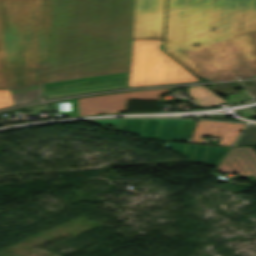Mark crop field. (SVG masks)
Instances as JSON below:
<instances>
[{
    "label": "crop field",
    "instance_id": "1",
    "mask_svg": "<svg viewBox=\"0 0 256 256\" xmlns=\"http://www.w3.org/2000/svg\"><path fill=\"white\" fill-rule=\"evenodd\" d=\"M135 0H0V89L130 69Z\"/></svg>",
    "mask_w": 256,
    "mask_h": 256
},
{
    "label": "crop field",
    "instance_id": "2",
    "mask_svg": "<svg viewBox=\"0 0 256 256\" xmlns=\"http://www.w3.org/2000/svg\"><path fill=\"white\" fill-rule=\"evenodd\" d=\"M255 31L256 0H168L164 49L200 78L255 74Z\"/></svg>",
    "mask_w": 256,
    "mask_h": 256
},
{
    "label": "crop field",
    "instance_id": "3",
    "mask_svg": "<svg viewBox=\"0 0 256 256\" xmlns=\"http://www.w3.org/2000/svg\"><path fill=\"white\" fill-rule=\"evenodd\" d=\"M162 42L133 40L130 87L198 81L162 53Z\"/></svg>",
    "mask_w": 256,
    "mask_h": 256
},
{
    "label": "crop field",
    "instance_id": "4",
    "mask_svg": "<svg viewBox=\"0 0 256 256\" xmlns=\"http://www.w3.org/2000/svg\"><path fill=\"white\" fill-rule=\"evenodd\" d=\"M95 124L121 125L120 131L134 133L145 138L188 141L193 120L176 119H114L91 120Z\"/></svg>",
    "mask_w": 256,
    "mask_h": 256
},
{
    "label": "crop field",
    "instance_id": "5",
    "mask_svg": "<svg viewBox=\"0 0 256 256\" xmlns=\"http://www.w3.org/2000/svg\"><path fill=\"white\" fill-rule=\"evenodd\" d=\"M168 90L158 89L77 99L78 116L124 112L127 99L158 100V95Z\"/></svg>",
    "mask_w": 256,
    "mask_h": 256
},
{
    "label": "crop field",
    "instance_id": "6",
    "mask_svg": "<svg viewBox=\"0 0 256 256\" xmlns=\"http://www.w3.org/2000/svg\"><path fill=\"white\" fill-rule=\"evenodd\" d=\"M165 0H136L133 39H163Z\"/></svg>",
    "mask_w": 256,
    "mask_h": 256
},
{
    "label": "crop field",
    "instance_id": "7",
    "mask_svg": "<svg viewBox=\"0 0 256 256\" xmlns=\"http://www.w3.org/2000/svg\"><path fill=\"white\" fill-rule=\"evenodd\" d=\"M246 124L224 123L216 121H198L190 142L201 143L202 136H222L220 145H233Z\"/></svg>",
    "mask_w": 256,
    "mask_h": 256
},
{
    "label": "crop field",
    "instance_id": "8",
    "mask_svg": "<svg viewBox=\"0 0 256 256\" xmlns=\"http://www.w3.org/2000/svg\"><path fill=\"white\" fill-rule=\"evenodd\" d=\"M217 170L223 173L253 175L256 178V151L253 147H233Z\"/></svg>",
    "mask_w": 256,
    "mask_h": 256
},
{
    "label": "crop field",
    "instance_id": "9",
    "mask_svg": "<svg viewBox=\"0 0 256 256\" xmlns=\"http://www.w3.org/2000/svg\"><path fill=\"white\" fill-rule=\"evenodd\" d=\"M166 147L184 154L186 157H194V162H201L203 164L217 166L221 157L226 154L229 148L214 147L194 144H174L167 142ZM183 155V156H184Z\"/></svg>",
    "mask_w": 256,
    "mask_h": 256
},
{
    "label": "crop field",
    "instance_id": "10",
    "mask_svg": "<svg viewBox=\"0 0 256 256\" xmlns=\"http://www.w3.org/2000/svg\"><path fill=\"white\" fill-rule=\"evenodd\" d=\"M188 91L189 96L194 98L195 102L202 106L225 103V100L205 86L188 87Z\"/></svg>",
    "mask_w": 256,
    "mask_h": 256
},
{
    "label": "crop field",
    "instance_id": "11",
    "mask_svg": "<svg viewBox=\"0 0 256 256\" xmlns=\"http://www.w3.org/2000/svg\"><path fill=\"white\" fill-rule=\"evenodd\" d=\"M256 144V126L249 125L236 145Z\"/></svg>",
    "mask_w": 256,
    "mask_h": 256
},
{
    "label": "crop field",
    "instance_id": "12",
    "mask_svg": "<svg viewBox=\"0 0 256 256\" xmlns=\"http://www.w3.org/2000/svg\"><path fill=\"white\" fill-rule=\"evenodd\" d=\"M237 77L250 78V77H256V75H244V74H240L237 70H233V71H231L230 73H228L226 75L204 78V79H207V80H226V79H234V78H237Z\"/></svg>",
    "mask_w": 256,
    "mask_h": 256
},
{
    "label": "crop field",
    "instance_id": "13",
    "mask_svg": "<svg viewBox=\"0 0 256 256\" xmlns=\"http://www.w3.org/2000/svg\"><path fill=\"white\" fill-rule=\"evenodd\" d=\"M226 97L228 98L226 101L229 103L252 99L246 92L227 95Z\"/></svg>",
    "mask_w": 256,
    "mask_h": 256
},
{
    "label": "crop field",
    "instance_id": "14",
    "mask_svg": "<svg viewBox=\"0 0 256 256\" xmlns=\"http://www.w3.org/2000/svg\"><path fill=\"white\" fill-rule=\"evenodd\" d=\"M12 100L8 90H0V107L11 105Z\"/></svg>",
    "mask_w": 256,
    "mask_h": 256
},
{
    "label": "crop field",
    "instance_id": "15",
    "mask_svg": "<svg viewBox=\"0 0 256 256\" xmlns=\"http://www.w3.org/2000/svg\"><path fill=\"white\" fill-rule=\"evenodd\" d=\"M254 111H256V108L240 110L239 112H241L245 118H250V117H256V113Z\"/></svg>",
    "mask_w": 256,
    "mask_h": 256
},
{
    "label": "crop field",
    "instance_id": "16",
    "mask_svg": "<svg viewBox=\"0 0 256 256\" xmlns=\"http://www.w3.org/2000/svg\"><path fill=\"white\" fill-rule=\"evenodd\" d=\"M251 38H252V42L255 48V52H256V32L255 33H251Z\"/></svg>",
    "mask_w": 256,
    "mask_h": 256
},
{
    "label": "crop field",
    "instance_id": "17",
    "mask_svg": "<svg viewBox=\"0 0 256 256\" xmlns=\"http://www.w3.org/2000/svg\"><path fill=\"white\" fill-rule=\"evenodd\" d=\"M60 102H70V100H68V101H60Z\"/></svg>",
    "mask_w": 256,
    "mask_h": 256
},
{
    "label": "crop field",
    "instance_id": "18",
    "mask_svg": "<svg viewBox=\"0 0 256 256\" xmlns=\"http://www.w3.org/2000/svg\"><path fill=\"white\" fill-rule=\"evenodd\" d=\"M188 72V71H187Z\"/></svg>",
    "mask_w": 256,
    "mask_h": 256
}]
</instances>
